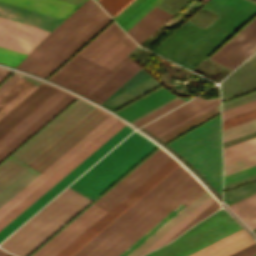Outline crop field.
Listing matches in <instances>:
<instances>
[{
    "instance_id": "1",
    "label": "crop field",
    "mask_w": 256,
    "mask_h": 256,
    "mask_svg": "<svg viewBox=\"0 0 256 256\" xmlns=\"http://www.w3.org/2000/svg\"><path fill=\"white\" fill-rule=\"evenodd\" d=\"M156 146L134 132L2 242L0 247L19 256L28 255Z\"/></svg>"
},
{
    "instance_id": "2",
    "label": "crop field",
    "mask_w": 256,
    "mask_h": 256,
    "mask_svg": "<svg viewBox=\"0 0 256 256\" xmlns=\"http://www.w3.org/2000/svg\"><path fill=\"white\" fill-rule=\"evenodd\" d=\"M202 8L219 17L204 30L186 21L153 52L192 70L256 13L245 0H210Z\"/></svg>"
},
{
    "instance_id": "3",
    "label": "crop field",
    "mask_w": 256,
    "mask_h": 256,
    "mask_svg": "<svg viewBox=\"0 0 256 256\" xmlns=\"http://www.w3.org/2000/svg\"><path fill=\"white\" fill-rule=\"evenodd\" d=\"M94 108L79 99L12 157L28 165ZM108 116L95 108L28 166L42 173Z\"/></svg>"
},
{
    "instance_id": "4",
    "label": "crop field",
    "mask_w": 256,
    "mask_h": 256,
    "mask_svg": "<svg viewBox=\"0 0 256 256\" xmlns=\"http://www.w3.org/2000/svg\"><path fill=\"white\" fill-rule=\"evenodd\" d=\"M240 228L227 212L220 209L145 256H186ZM254 245L256 242L242 228L188 256H234Z\"/></svg>"
},
{
    "instance_id": "5",
    "label": "crop field",
    "mask_w": 256,
    "mask_h": 256,
    "mask_svg": "<svg viewBox=\"0 0 256 256\" xmlns=\"http://www.w3.org/2000/svg\"><path fill=\"white\" fill-rule=\"evenodd\" d=\"M136 46L113 22L78 55L110 69ZM78 55L52 75L49 80L82 94L108 69Z\"/></svg>"
},
{
    "instance_id": "6",
    "label": "crop field",
    "mask_w": 256,
    "mask_h": 256,
    "mask_svg": "<svg viewBox=\"0 0 256 256\" xmlns=\"http://www.w3.org/2000/svg\"><path fill=\"white\" fill-rule=\"evenodd\" d=\"M171 158L159 148L94 204L108 211ZM94 204L32 256H55L107 212Z\"/></svg>"
},
{
    "instance_id": "7",
    "label": "crop field",
    "mask_w": 256,
    "mask_h": 256,
    "mask_svg": "<svg viewBox=\"0 0 256 256\" xmlns=\"http://www.w3.org/2000/svg\"><path fill=\"white\" fill-rule=\"evenodd\" d=\"M166 145L187 160L221 195L220 115Z\"/></svg>"
},
{
    "instance_id": "8",
    "label": "crop field",
    "mask_w": 256,
    "mask_h": 256,
    "mask_svg": "<svg viewBox=\"0 0 256 256\" xmlns=\"http://www.w3.org/2000/svg\"><path fill=\"white\" fill-rule=\"evenodd\" d=\"M200 186L188 173L90 256H117Z\"/></svg>"
},
{
    "instance_id": "9",
    "label": "crop field",
    "mask_w": 256,
    "mask_h": 256,
    "mask_svg": "<svg viewBox=\"0 0 256 256\" xmlns=\"http://www.w3.org/2000/svg\"><path fill=\"white\" fill-rule=\"evenodd\" d=\"M103 10L88 0L56 28L17 67L32 73Z\"/></svg>"
},
{
    "instance_id": "10",
    "label": "crop field",
    "mask_w": 256,
    "mask_h": 256,
    "mask_svg": "<svg viewBox=\"0 0 256 256\" xmlns=\"http://www.w3.org/2000/svg\"><path fill=\"white\" fill-rule=\"evenodd\" d=\"M76 97L61 90L55 93L9 133L0 139V161L69 105Z\"/></svg>"
},
{
    "instance_id": "11",
    "label": "crop field",
    "mask_w": 256,
    "mask_h": 256,
    "mask_svg": "<svg viewBox=\"0 0 256 256\" xmlns=\"http://www.w3.org/2000/svg\"><path fill=\"white\" fill-rule=\"evenodd\" d=\"M180 164L173 158L56 256H71Z\"/></svg>"
},
{
    "instance_id": "12",
    "label": "crop field",
    "mask_w": 256,
    "mask_h": 256,
    "mask_svg": "<svg viewBox=\"0 0 256 256\" xmlns=\"http://www.w3.org/2000/svg\"><path fill=\"white\" fill-rule=\"evenodd\" d=\"M140 69L141 68L138 65H136L132 60L125 56L96 83H94L87 91H85L83 95L101 104ZM148 77L150 76L141 69L107 100Z\"/></svg>"
},
{
    "instance_id": "13",
    "label": "crop field",
    "mask_w": 256,
    "mask_h": 256,
    "mask_svg": "<svg viewBox=\"0 0 256 256\" xmlns=\"http://www.w3.org/2000/svg\"><path fill=\"white\" fill-rule=\"evenodd\" d=\"M131 131L132 129L126 125L112 138H110L106 143H104L99 149H97L93 154H91L87 159H85L80 165H78L74 170H72L68 175H66L62 180H60L55 186H53L49 191H47L43 196H41L37 201H35L30 207H28L24 212H22L18 217H16L11 223H9L5 228H3L0 231V241H2L6 236H8L13 230H15L25 220H27L32 214H34L38 209H40L45 203H47L51 198H53L58 192H60L64 187H66L70 182H72L77 176H79L83 171H85L90 165H92L96 160H98L103 154H105L109 149H111L115 144H117Z\"/></svg>"
},
{
    "instance_id": "14",
    "label": "crop field",
    "mask_w": 256,
    "mask_h": 256,
    "mask_svg": "<svg viewBox=\"0 0 256 256\" xmlns=\"http://www.w3.org/2000/svg\"><path fill=\"white\" fill-rule=\"evenodd\" d=\"M125 125L126 124L118 120L110 128H108L104 133H102L98 138H96L91 144H89L85 149H83L79 154H77L72 160H70L66 165H64L60 170H58L54 175H52L47 181H45L29 196H27L22 202H20L16 207H14L10 212H8L3 218H1L0 230L3 227H5L9 222H11L16 216H18L22 211H24L28 206H30L35 200H37L41 195H43L47 190H49L60 179H62L66 174H68L72 169H74L78 164H80L85 158H87L91 153H93L97 148H99L104 142H106L110 137H112L116 132H118Z\"/></svg>"
},
{
    "instance_id": "15",
    "label": "crop field",
    "mask_w": 256,
    "mask_h": 256,
    "mask_svg": "<svg viewBox=\"0 0 256 256\" xmlns=\"http://www.w3.org/2000/svg\"><path fill=\"white\" fill-rule=\"evenodd\" d=\"M116 121L117 119L110 116L90 134H88L84 139H82L78 144H76L71 150H69L46 171H44L40 176H38L34 181H32L16 196H14L10 201H8L3 207H1L0 218L3 217L8 211H10L14 206H16L27 195H29L33 190H35L39 185H41L52 174H54L58 169H60L64 164H66L70 159H72L77 153H79L83 148H85L89 143H91L96 137H98L102 132H104Z\"/></svg>"
},
{
    "instance_id": "16",
    "label": "crop field",
    "mask_w": 256,
    "mask_h": 256,
    "mask_svg": "<svg viewBox=\"0 0 256 256\" xmlns=\"http://www.w3.org/2000/svg\"><path fill=\"white\" fill-rule=\"evenodd\" d=\"M255 50L256 18L211 56L210 59L233 70Z\"/></svg>"
},
{
    "instance_id": "17",
    "label": "crop field",
    "mask_w": 256,
    "mask_h": 256,
    "mask_svg": "<svg viewBox=\"0 0 256 256\" xmlns=\"http://www.w3.org/2000/svg\"><path fill=\"white\" fill-rule=\"evenodd\" d=\"M49 32L0 18V46L29 54Z\"/></svg>"
},
{
    "instance_id": "18",
    "label": "crop field",
    "mask_w": 256,
    "mask_h": 256,
    "mask_svg": "<svg viewBox=\"0 0 256 256\" xmlns=\"http://www.w3.org/2000/svg\"><path fill=\"white\" fill-rule=\"evenodd\" d=\"M185 171L186 170L181 165L176 168L165 179L157 184L152 190L144 195L139 201H137L133 206H131L127 211H125L121 216H119L115 221H113L108 227H106L102 232H100L96 237H94L73 256H86L99 243H101L105 238H107L111 233H113L117 228H119L123 223L131 218L145 204H147L151 199H153L157 194H159L163 189H165Z\"/></svg>"
},
{
    "instance_id": "19",
    "label": "crop field",
    "mask_w": 256,
    "mask_h": 256,
    "mask_svg": "<svg viewBox=\"0 0 256 256\" xmlns=\"http://www.w3.org/2000/svg\"><path fill=\"white\" fill-rule=\"evenodd\" d=\"M58 89L41 84L0 119V138L51 97Z\"/></svg>"
},
{
    "instance_id": "20",
    "label": "crop field",
    "mask_w": 256,
    "mask_h": 256,
    "mask_svg": "<svg viewBox=\"0 0 256 256\" xmlns=\"http://www.w3.org/2000/svg\"><path fill=\"white\" fill-rule=\"evenodd\" d=\"M26 167L27 166L11 158L7 160L3 165L0 166V188ZM39 174L40 173L27 167L5 186H3L0 189V207Z\"/></svg>"
},
{
    "instance_id": "21",
    "label": "crop field",
    "mask_w": 256,
    "mask_h": 256,
    "mask_svg": "<svg viewBox=\"0 0 256 256\" xmlns=\"http://www.w3.org/2000/svg\"><path fill=\"white\" fill-rule=\"evenodd\" d=\"M21 75L15 73L8 81L0 87V93L14 83ZM40 83L22 76L2 94H0V117L32 92Z\"/></svg>"
},
{
    "instance_id": "22",
    "label": "crop field",
    "mask_w": 256,
    "mask_h": 256,
    "mask_svg": "<svg viewBox=\"0 0 256 256\" xmlns=\"http://www.w3.org/2000/svg\"><path fill=\"white\" fill-rule=\"evenodd\" d=\"M217 101L219 98L203 100L197 97L143 127L156 135Z\"/></svg>"
},
{
    "instance_id": "23",
    "label": "crop field",
    "mask_w": 256,
    "mask_h": 256,
    "mask_svg": "<svg viewBox=\"0 0 256 256\" xmlns=\"http://www.w3.org/2000/svg\"><path fill=\"white\" fill-rule=\"evenodd\" d=\"M0 16L52 32L62 20L0 2Z\"/></svg>"
},
{
    "instance_id": "24",
    "label": "crop field",
    "mask_w": 256,
    "mask_h": 256,
    "mask_svg": "<svg viewBox=\"0 0 256 256\" xmlns=\"http://www.w3.org/2000/svg\"><path fill=\"white\" fill-rule=\"evenodd\" d=\"M0 1L13 4L19 7H23L29 10H33L39 13H43L49 16H53L59 19H63V20L67 18L72 12H74L79 7V6L72 5L59 0H31V1L48 5L54 8H58L64 11L71 12V13H68V12H64V11L54 9L48 6H44L38 3H34L28 0H0Z\"/></svg>"
},
{
    "instance_id": "25",
    "label": "crop field",
    "mask_w": 256,
    "mask_h": 256,
    "mask_svg": "<svg viewBox=\"0 0 256 256\" xmlns=\"http://www.w3.org/2000/svg\"><path fill=\"white\" fill-rule=\"evenodd\" d=\"M171 16L155 6L126 32L139 44Z\"/></svg>"
},
{
    "instance_id": "26",
    "label": "crop field",
    "mask_w": 256,
    "mask_h": 256,
    "mask_svg": "<svg viewBox=\"0 0 256 256\" xmlns=\"http://www.w3.org/2000/svg\"><path fill=\"white\" fill-rule=\"evenodd\" d=\"M173 97L175 96L171 95L162 88L154 92L153 94L145 97L144 99L134 103L133 105L125 108L124 110L118 112L117 114L130 121Z\"/></svg>"
},
{
    "instance_id": "27",
    "label": "crop field",
    "mask_w": 256,
    "mask_h": 256,
    "mask_svg": "<svg viewBox=\"0 0 256 256\" xmlns=\"http://www.w3.org/2000/svg\"><path fill=\"white\" fill-rule=\"evenodd\" d=\"M160 1L161 0H136L114 20L126 31Z\"/></svg>"
},
{
    "instance_id": "28",
    "label": "crop field",
    "mask_w": 256,
    "mask_h": 256,
    "mask_svg": "<svg viewBox=\"0 0 256 256\" xmlns=\"http://www.w3.org/2000/svg\"><path fill=\"white\" fill-rule=\"evenodd\" d=\"M158 86L160 85L150 77L148 80L138 84L137 86L125 91L124 93L101 105L114 111Z\"/></svg>"
},
{
    "instance_id": "29",
    "label": "crop field",
    "mask_w": 256,
    "mask_h": 256,
    "mask_svg": "<svg viewBox=\"0 0 256 256\" xmlns=\"http://www.w3.org/2000/svg\"><path fill=\"white\" fill-rule=\"evenodd\" d=\"M210 196L211 195L207 191L203 193L199 198H197L193 203H191L187 208H185L181 213H179L175 218H173L169 223H167L163 228H161L157 233H155L151 238H149L129 256H139L142 252H144L148 247H150L154 242H156L160 237H162L166 232H168L172 227H174L178 222H180L184 217H186L190 212H192L196 207H198Z\"/></svg>"
},
{
    "instance_id": "30",
    "label": "crop field",
    "mask_w": 256,
    "mask_h": 256,
    "mask_svg": "<svg viewBox=\"0 0 256 256\" xmlns=\"http://www.w3.org/2000/svg\"><path fill=\"white\" fill-rule=\"evenodd\" d=\"M205 191L206 190L201 186L193 194H191L187 199H185L181 203V205L185 208ZM181 205L179 204L175 209H173L169 214H167L163 219H161L157 224H155L151 229H149L145 234H143L139 239H137L133 244H131L126 250H124L118 256L128 255L132 250H134L143 241H145L148 237H150L154 232H156L159 228H161L164 224H166L170 219H172L175 215H177L181 210H183L184 208Z\"/></svg>"
},
{
    "instance_id": "31",
    "label": "crop field",
    "mask_w": 256,
    "mask_h": 256,
    "mask_svg": "<svg viewBox=\"0 0 256 256\" xmlns=\"http://www.w3.org/2000/svg\"><path fill=\"white\" fill-rule=\"evenodd\" d=\"M229 207L251 230L256 228V193L229 205Z\"/></svg>"
},
{
    "instance_id": "32",
    "label": "crop field",
    "mask_w": 256,
    "mask_h": 256,
    "mask_svg": "<svg viewBox=\"0 0 256 256\" xmlns=\"http://www.w3.org/2000/svg\"><path fill=\"white\" fill-rule=\"evenodd\" d=\"M111 19L107 15L97 25H95L90 31H88L83 37H81L75 44H73L68 50H66L51 66L44 70L39 76L45 78L50 72H52L58 65H60L66 58H68L74 51H76L82 44H84L90 37H92L98 30H100Z\"/></svg>"
},
{
    "instance_id": "33",
    "label": "crop field",
    "mask_w": 256,
    "mask_h": 256,
    "mask_svg": "<svg viewBox=\"0 0 256 256\" xmlns=\"http://www.w3.org/2000/svg\"><path fill=\"white\" fill-rule=\"evenodd\" d=\"M256 165V151L224 162V176Z\"/></svg>"
},
{
    "instance_id": "34",
    "label": "crop field",
    "mask_w": 256,
    "mask_h": 256,
    "mask_svg": "<svg viewBox=\"0 0 256 256\" xmlns=\"http://www.w3.org/2000/svg\"><path fill=\"white\" fill-rule=\"evenodd\" d=\"M107 14L103 11L92 22H90L84 29H82L76 36H74L68 43H66L60 50H58L52 57H50L44 64H42L33 74L38 75L50 64H52L66 49H68L74 42H76L81 36H83L88 30H90L96 23H98Z\"/></svg>"
},
{
    "instance_id": "35",
    "label": "crop field",
    "mask_w": 256,
    "mask_h": 256,
    "mask_svg": "<svg viewBox=\"0 0 256 256\" xmlns=\"http://www.w3.org/2000/svg\"><path fill=\"white\" fill-rule=\"evenodd\" d=\"M214 200L215 199L212 196L209 199H207L203 204H201L197 209H195L191 214H189L185 219H183L179 224H177L173 229H171L167 234H165L161 239H159L144 253L161 246L165 241H167L171 236H173L178 230H180L185 224H187L191 219H193L198 213H200L205 207H207Z\"/></svg>"
},
{
    "instance_id": "36",
    "label": "crop field",
    "mask_w": 256,
    "mask_h": 256,
    "mask_svg": "<svg viewBox=\"0 0 256 256\" xmlns=\"http://www.w3.org/2000/svg\"><path fill=\"white\" fill-rule=\"evenodd\" d=\"M256 150V137L223 149L224 161Z\"/></svg>"
},
{
    "instance_id": "37",
    "label": "crop field",
    "mask_w": 256,
    "mask_h": 256,
    "mask_svg": "<svg viewBox=\"0 0 256 256\" xmlns=\"http://www.w3.org/2000/svg\"><path fill=\"white\" fill-rule=\"evenodd\" d=\"M256 130V119L223 131V142Z\"/></svg>"
},
{
    "instance_id": "38",
    "label": "crop field",
    "mask_w": 256,
    "mask_h": 256,
    "mask_svg": "<svg viewBox=\"0 0 256 256\" xmlns=\"http://www.w3.org/2000/svg\"><path fill=\"white\" fill-rule=\"evenodd\" d=\"M219 105H220V104H219ZM217 106H218V105H217ZM208 111H209V110H208ZM218 112H220V106H218V107H216V108L210 110L209 112H207V113H205V114H203V115H201V116L199 115L200 117H198V118H196V119L190 121L189 123H187V124H185V125L179 127L178 129H176V130L170 132L169 134H167V135H165V136H163V137H161V138H159V139H161L162 141L165 142V141H167V140L173 138L174 136H176V135L182 133L183 131H185V130L191 128V127H193L194 125H196V124L202 122L203 120H205V119L211 117L212 115H214V114H216V113H218Z\"/></svg>"
},
{
    "instance_id": "39",
    "label": "crop field",
    "mask_w": 256,
    "mask_h": 256,
    "mask_svg": "<svg viewBox=\"0 0 256 256\" xmlns=\"http://www.w3.org/2000/svg\"><path fill=\"white\" fill-rule=\"evenodd\" d=\"M113 18L133 0H96Z\"/></svg>"
},
{
    "instance_id": "40",
    "label": "crop field",
    "mask_w": 256,
    "mask_h": 256,
    "mask_svg": "<svg viewBox=\"0 0 256 256\" xmlns=\"http://www.w3.org/2000/svg\"><path fill=\"white\" fill-rule=\"evenodd\" d=\"M256 190V181L225 192L224 202L229 203Z\"/></svg>"
},
{
    "instance_id": "41",
    "label": "crop field",
    "mask_w": 256,
    "mask_h": 256,
    "mask_svg": "<svg viewBox=\"0 0 256 256\" xmlns=\"http://www.w3.org/2000/svg\"><path fill=\"white\" fill-rule=\"evenodd\" d=\"M26 54L0 47V62L16 66Z\"/></svg>"
},
{
    "instance_id": "42",
    "label": "crop field",
    "mask_w": 256,
    "mask_h": 256,
    "mask_svg": "<svg viewBox=\"0 0 256 256\" xmlns=\"http://www.w3.org/2000/svg\"><path fill=\"white\" fill-rule=\"evenodd\" d=\"M256 108V99L222 111L223 120Z\"/></svg>"
},
{
    "instance_id": "43",
    "label": "crop field",
    "mask_w": 256,
    "mask_h": 256,
    "mask_svg": "<svg viewBox=\"0 0 256 256\" xmlns=\"http://www.w3.org/2000/svg\"><path fill=\"white\" fill-rule=\"evenodd\" d=\"M181 103H183V102L178 98V99L172 101L171 103H169V104L163 106L162 108L156 110L155 112L149 114L148 116H146V117L140 119L139 121H137V122H135V123H133V124H135L136 126L139 127V126H141V125L147 123L148 121H150V120L156 118L157 116H159V115L165 113L166 111H168V110L174 108L175 106H177V105H179V104H181Z\"/></svg>"
},
{
    "instance_id": "44",
    "label": "crop field",
    "mask_w": 256,
    "mask_h": 256,
    "mask_svg": "<svg viewBox=\"0 0 256 256\" xmlns=\"http://www.w3.org/2000/svg\"><path fill=\"white\" fill-rule=\"evenodd\" d=\"M256 118V109L223 121V130Z\"/></svg>"
},
{
    "instance_id": "45",
    "label": "crop field",
    "mask_w": 256,
    "mask_h": 256,
    "mask_svg": "<svg viewBox=\"0 0 256 256\" xmlns=\"http://www.w3.org/2000/svg\"><path fill=\"white\" fill-rule=\"evenodd\" d=\"M217 208H219V204L217 203V201L215 200L212 204H210L206 209H204L200 214H198L193 220H191L187 225H185L180 231H178L173 237H171L167 242H169L170 240H172L173 238H175L176 236H178L179 234H181L183 231H185L186 229H188L189 227H191L193 224H195L197 221H199L200 219H202L203 217H205L206 215L210 214L211 212H213L214 210H216ZM165 242V243H167ZM164 243V244H165Z\"/></svg>"
},
{
    "instance_id": "46",
    "label": "crop field",
    "mask_w": 256,
    "mask_h": 256,
    "mask_svg": "<svg viewBox=\"0 0 256 256\" xmlns=\"http://www.w3.org/2000/svg\"><path fill=\"white\" fill-rule=\"evenodd\" d=\"M256 174V166L250 167L248 169L233 173L231 175L224 177V185L231 183L233 181L248 177L250 175Z\"/></svg>"
},
{
    "instance_id": "47",
    "label": "crop field",
    "mask_w": 256,
    "mask_h": 256,
    "mask_svg": "<svg viewBox=\"0 0 256 256\" xmlns=\"http://www.w3.org/2000/svg\"><path fill=\"white\" fill-rule=\"evenodd\" d=\"M217 104H219V102H217V103H215V104L211 105L210 107H208V108H206V109L202 110L201 112H199V113H197V114L193 115L192 117H190V118H188V119H186V120L182 121L181 123H179V124H177V125L173 126L172 128H170V129H168V130L164 131L163 133H161V134H159V135H157V136H155V137H157V138H158V137H160V136L164 135L165 133H167V132H169V131L173 130L174 128H176V127L180 126L181 124H183V123H185V122L189 121L190 119H192V118L196 117L197 115H199V114L203 113L204 111H206V110H208V109L212 108L213 106H215V105H217Z\"/></svg>"
},
{
    "instance_id": "48",
    "label": "crop field",
    "mask_w": 256,
    "mask_h": 256,
    "mask_svg": "<svg viewBox=\"0 0 256 256\" xmlns=\"http://www.w3.org/2000/svg\"><path fill=\"white\" fill-rule=\"evenodd\" d=\"M254 254H256V246L247 250V251H245V252H243V253H241V254H239V255H237V256H252Z\"/></svg>"
},
{
    "instance_id": "49",
    "label": "crop field",
    "mask_w": 256,
    "mask_h": 256,
    "mask_svg": "<svg viewBox=\"0 0 256 256\" xmlns=\"http://www.w3.org/2000/svg\"><path fill=\"white\" fill-rule=\"evenodd\" d=\"M62 1H66L72 4H76V5H81L82 3H84L86 0H62Z\"/></svg>"
},
{
    "instance_id": "50",
    "label": "crop field",
    "mask_w": 256,
    "mask_h": 256,
    "mask_svg": "<svg viewBox=\"0 0 256 256\" xmlns=\"http://www.w3.org/2000/svg\"><path fill=\"white\" fill-rule=\"evenodd\" d=\"M10 72V70H6L3 68H0V81Z\"/></svg>"
},
{
    "instance_id": "51",
    "label": "crop field",
    "mask_w": 256,
    "mask_h": 256,
    "mask_svg": "<svg viewBox=\"0 0 256 256\" xmlns=\"http://www.w3.org/2000/svg\"><path fill=\"white\" fill-rule=\"evenodd\" d=\"M5 254H7V253L4 252V251H2V250H0V256H3V255H5Z\"/></svg>"
},
{
    "instance_id": "52",
    "label": "crop field",
    "mask_w": 256,
    "mask_h": 256,
    "mask_svg": "<svg viewBox=\"0 0 256 256\" xmlns=\"http://www.w3.org/2000/svg\"><path fill=\"white\" fill-rule=\"evenodd\" d=\"M7 255H9V254H7ZM7 255H5V256H7ZM9 256H12V255H9Z\"/></svg>"
},
{
    "instance_id": "53",
    "label": "crop field",
    "mask_w": 256,
    "mask_h": 256,
    "mask_svg": "<svg viewBox=\"0 0 256 256\" xmlns=\"http://www.w3.org/2000/svg\"><path fill=\"white\" fill-rule=\"evenodd\" d=\"M256 256V255H255Z\"/></svg>"
},
{
    "instance_id": "54",
    "label": "crop field",
    "mask_w": 256,
    "mask_h": 256,
    "mask_svg": "<svg viewBox=\"0 0 256 256\" xmlns=\"http://www.w3.org/2000/svg\"><path fill=\"white\" fill-rule=\"evenodd\" d=\"M256 1V0H255Z\"/></svg>"
}]
</instances>
